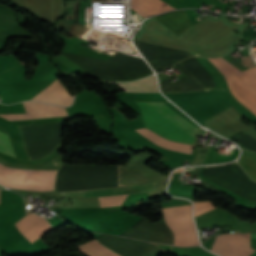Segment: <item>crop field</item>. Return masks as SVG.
Wrapping results in <instances>:
<instances>
[{"label": "crop field", "mask_w": 256, "mask_h": 256, "mask_svg": "<svg viewBox=\"0 0 256 256\" xmlns=\"http://www.w3.org/2000/svg\"><path fill=\"white\" fill-rule=\"evenodd\" d=\"M143 110L144 126L180 142L193 143L199 128L181 117L163 102H138Z\"/></svg>", "instance_id": "1"}, {"label": "crop field", "mask_w": 256, "mask_h": 256, "mask_svg": "<svg viewBox=\"0 0 256 256\" xmlns=\"http://www.w3.org/2000/svg\"><path fill=\"white\" fill-rule=\"evenodd\" d=\"M56 171L7 169L0 165V183L13 188L37 191L54 190Z\"/></svg>", "instance_id": "2"}, {"label": "crop field", "mask_w": 256, "mask_h": 256, "mask_svg": "<svg viewBox=\"0 0 256 256\" xmlns=\"http://www.w3.org/2000/svg\"><path fill=\"white\" fill-rule=\"evenodd\" d=\"M246 238H256V232L240 234ZM238 234H223L216 236L211 249L221 256H249L254 250L251 249L249 240Z\"/></svg>", "instance_id": "3"}, {"label": "crop field", "mask_w": 256, "mask_h": 256, "mask_svg": "<svg viewBox=\"0 0 256 256\" xmlns=\"http://www.w3.org/2000/svg\"><path fill=\"white\" fill-rule=\"evenodd\" d=\"M23 104L27 114H11L0 116L9 121L68 116L65 108L62 107L52 106L39 102H23Z\"/></svg>", "instance_id": "4"}, {"label": "crop field", "mask_w": 256, "mask_h": 256, "mask_svg": "<svg viewBox=\"0 0 256 256\" xmlns=\"http://www.w3.org/2000/svg\"><path fill=\"white\" fill-rule=\"evenodd\" d=\"M16 224L31 242H34L52 229L43 217L33 215L32 213L28 214Z\"/></svg>", "instance_id": "5"}, {"label": "crop field", "mask_w": 256, "mask_h": 256, "mask_svg": "<svg viewBox=\"0 0 256 256\" xmlns=\"http://www.w3.org/2000/svg\"><path fill=\"white\" fill-rule=\"evenodd\" d=\"M32 100L44 101L60 106H69L72 103L73 97L69 96L57 79Z\"/></svg>", "instance_id": "6"}, {"label": "crop field", "mask_w": 256, "mask_h": 256, "mask_svg": "<svg viewBox=\"0 0 256 256\" xmlns=\"http://www.w3.org/2000/svg\"><path fill=\"white\" fill-rule=\"evenodd\" d=\"M155 183L156 182L145 184V185H140V186H129V187H123V188H114V189H100V190L68 192V193H64V195L79 196V197H95V196L123 194V193L131 194V193H138V192H147V191L154 190Z\"/></svg>", "instance_id": "7"}, {"label": "crop field", "mask_w": 256, "mask_h": 256, "mask_svg": "<svg viewBox=\"0 0 256 256\" xmlns=\"http://www.w3.org/2000/svg\"><path fill=\"white\" fill-rule=\"evenodd\" d=\"M116 84L125 92H159L156 86V78L154 75L136 82Z\"/></svg>", "instance_id": "8"}, {"label": "crop field", "mask_w": 256, "mask_h": 256, "mask_svg": "<svg viewBox=\"0 0 256 256\" xmlns=\"http://www.w3.org/2000/svg\"><path fill=\"white\" fill-rule=\"evenodd\" d=\"M160 0H133L131 9L146 18L159 12Z\"/></svg>", "instance_id": "9"}, {"label": "crop field", "mask_w": 256, "mask_h": 256, "mask_svg": "<svg viewBox=\"0 0 256 256\" xmlns=\"http://www.w3.org/2000/svg\"><path fill=\"white\" fill-rule=\"evenodd\" d=\"M87 244H89L92 248H94L96 251H98L99 253H101L104 256H120L114 252H112L111 250H109L107 247H105L104 245L100 244L96 239L93 241L88 242ZM86 243L77 246L78 249L85 255V256H102L101 254H99L98 252H96L94 249H92L89 245H87Z\"/></svg>", "instance_id": "10"}, {"label": "crop field", "mask_w": 256, "mask_h": 256, "mask_svg": "<svg viewBox=\"0 0 256 256\" xmlns=\"http://www.w3.org/2000/svg\"><path fill=\"white\" fill-rule=\"evenodd\" d=\"M238 162L248 175L256 181V154L242 150V155Z\"/></svg>", "instance_id": "11"}, {"label": "crop field", "mask_w": 256, "mask_h": 256, "mask_svg": "<svg viewBox=\"0 0 256 256\" xmlns=\"http://www.w3.org/2000/svg\"><path fill=\"white\" fill-rule=\"evenodd\" d=\"M127 195L99 197L101 207L121 205Z\"/></svg>", "instance_id": "12"}, {"label": "crop field", "mask_w": 256, "mask_h": 256, "mask_svg": "<svg viewBox=\"0 0 256 256\" xmlns=\"http://www.w3.org/2000/svg\"><path fill=\"white\" fill-rule=\"evenodd\" d=\"M0 152L15 156L8 136L2 132H0Z\"/></svg>", "instance_id": "13"}, {"label": "crop field", "mask_w": 256, "mask_h": 256, "mask_svg": "<svg viewBox=\"0 0 256 256\" xmlns=\"http://www.w3.org/2000/svg\"><path fill=\"white\" fill-rule=\"evenodd\" d=\"M214 208L215 207L209 201L195 202L194 215L197 216Z\"/></svg>", "instance_id": "14"}, {"label": "crop field", "mask_w": 256, "mask_h": 256, "mask_svg": "<svg viewBox=\"0 0 256 256\" xmlns=\"http://www.w3.org/2000/svg\"><path fill=\"white\" fill-rule=\"evenodd\" d=\"M0 188H4V187L0 186Z\"/></svg>", "instance_id": "15"}, {"label": "crop field", "mask_w": 256, "mask_h": 256, "mask_svg": "<svg viewBox=\"0 0 256 256\" xmlns=\"http://www.w3.org/2000/svg\"><path fill=\"white\" fill-rule=\"evenodd\" d=\"M254 59H255V61H256V57H255Z\"/></svg>", "instance_id": "16"}, {"label": "crop field", "mask_w": 256, "mask_h": 256, "mask_svg": "<svg viewBox=\"0 0 256 256\" xmlns=\"http://www.w3.org/2000/svg\"><path fill=\"white\" fill-rule=\"evenodd\" d=\"M165 68H167V67H165ZM165 68H164V69H165Z\"/></svg>", "instance_id": "17"}]
</instances>
